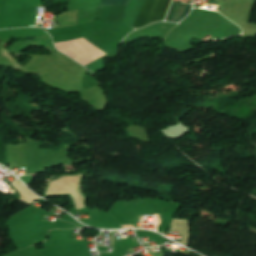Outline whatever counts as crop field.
Segmentation results:
<instances>
[{"instance_id": "obj_1", "label": "crop field", "mask_w": 256, "mask_h": 256, "mask_svg": "<svg viewBox=\"0 0 256 256\" xmlns=\"http://www.w3.org/2000/svg\"><path fill=\"white\" fill-rule=\"evenodd\" d=\"M128 0H102L101 5H126ZM170 0H144L139 14L132 27L162 21L165 18Z\"/></svg>"}, {"instance_id": "obj_2", "label": "crop field", "mask_w": 256, "mask_h": 256, "mask_svg": "<svg viewBox=\"0 0 256 256\" xmlns=\"http://www.w3.org/2000/svg\"><path fill=\"white\" fill-rule=\"evenodd\" d=\"M192 5L173 2L166 21L179 22L186 17Z\"/></svg>"}]
</instances>
